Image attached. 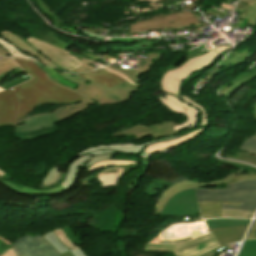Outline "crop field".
Here are the masks:
<instances>
[{
  "mask_svg": "<svg viewBox=\"0 0 256 256\" xmlns=\"http://www.w3.org/2000/svg\"><path fill=\"white\" fill-rule=\"evenodd\" d=\"M20 67L32 76V81L14 87L19 101L20 110L17 119L27 115L37 104L42 103H72L82 96L64 89L50 80L33 62L14 59Z\"/></svg>",
  "mask_w": 256,
  "mask_h": 256,
  "instance_id": "obj_1",
  "label": "crop field"
},
{
  "mask_svg": "<svg viewBox=\"0 0 256 256\" xmlns=\"http://www.w3.org/2000/svg\"><path fill=\"white\" fill-rule=\"evenodd\" d=\"M59 76L79 85L75 90L69 89L51 79L48 74L47 78L54 83L63 86L73 92H76L86 98H88L93 104L98 103L100 106L105 104H114L126 101L129 96L137 89L127 82L119 84L115 87L106 89L100 85H97L91 81L81 79L75 75H68L65 73H58Z\"/></svg>",
  "mask_w": 256,
  "mask_h": 256,
  "instance_id": "obj_2",
  "label": "crop field"
},
{
  "mask_svg": "<svg viewBox=\"0 0 256 256\" xmlns=\"http://www.w3.org/2000/svg\"><path fill=\"white\" fill-rule=\"evenodd\" d=\"M219 56L218 53L212 50L208 54L187 59L177 67L167 70L161 79V90L165 93H171L180 99L179 87L182 80L186 79V77L195 70L206 67Z\"/></svg>",
  "mask_w": 256,
  "mask_h": 256,
  "instance_id": "obj_3",
  "label": "crop field"
},
{
  "mask_svg": "<svg viewBox=\"0 0 256 256\" xmlns=\"http://www.w3.org/2000/svg\"><path fill=\"white\" fill-rule=\"evenodd\" d=\"M31 46L38 50L42 55L52 61L54 64L61 67L63 70L76 73V72H88L95 70L89 66L92 61L82 55H71L66 51H62L54 46L43 43L32 37L25 38Z\"/></svg>",
  "mask_w": 256,
  "mask_h": 256,
  "instance_id": "obj_4",
  "label": "crop field"
},
{
  "mask_svg": "<svg viewBox=\"0 0 256 256\" xmlns=\"http://www.w3.org/2000/svg\"><path fill=\"white\" fill-rule=\"evenodd\" d=\"M224 190L196 189L197 201L227 200L244 202L245 199L256 200V181L243 180L227 186ZM220 191V192H218Z\"/></svg>",
  "mask_w": 256,
  "mask_h": 256,
  "instance_id": "obj_5",
  "label": "crop field"
},
{
  "mask_svg": "<svg viewBox=\"0 0 256 256\" xmlns=\"http://www.w3.org/2000/svg\"><path fill=\"white\" fill-rule=\"evenodd\" d=\"M82 103L79 105H68L58 108L56 111L40 115V116H30L20 121H16L15 131H30L38 128H42L48 125L65 120L66 118L72 116L77 112H81L87 109L88 104H92L88 99L83 98L80 100Z\"/></svg>",
  "mask_w": 256,
  "mask_h": 256,
  "instance_id": "obj_6",
  "label": "crop field"
},
{
  "mask_svg": "<svg viewBox=\"0 0 256 256\" xmlns=\"http://www.w3.org/2000/svg\"><path fill=\"white\" fill-rule=\"evenodd\" d=\"M218 247L212 234L192 239L176 245H150L147 244L144 250L148 251H169L176 256H198L204 252ZM173 254V255H174Z\"/></svg>",
  "mask_w": 256,
  "mask_h": 256,
  "instance_id": "obj_7",
  "label": "crop field"
},
{
  "mask_svg": "<svg viewBox=\"0 0 256 256\" xmlns=\"http://www.w3.org/2000/svg\"><path fill=\"white\" fill-rule=\"evenodd\" d=\"M199 213L194 189L181 191L170 198L164 207L165 215H189Z\"/></svg>",
  "mask_w": 256,
  "mask_h": 256,
  "instance_id": "obj_8",
  "label": "crop field"
},
{
  "mask_svg": "<svg viewBox=\"0 0 256 256\" xmlns=\"http://www.w3.org/2000/svg\"><path fill=\"white\" fill-rule=\"evenodd\" d=\"M12 246L18 256H60L40 236L25 235Z\"/></svg>",
  "mask_w": 256,
  "mask_h": 256,
  "instance_id": "obj_9",
  "label": "crop field"
},
{
  "mask_svg": "<svg viewBox=\"0 0 256 256\" xmlns=\"http://www.w3.org/2000/svg\"><path fill=\"white\" fill-rule=\"evenodd\" d=\"M176 125L165 122L153 126L146 127L142 124L135 125L129 129L122 130L121 132L114 133L110 137L135 135V138L151 135L154 139L175 134L176 132L172 127Z\"/></svg>",
  "mask_w": 256,
  "mask_h": 256,
  "instance_id": "obj_10",
  "label": "crop field"
},
{
  "mask_svg": "<svg viewBox=\"0 0 256 256\" xmlns=\"http://www.w3.org/2000/svg\"><path fill=\"white\" fill-rule=\"evenodd\" d=\"M142 162H143L144 173H145L147 171L148 167H149V161H141V162H139L135 165H132V166L111 167V168H107L106 170L102 171L98 175V180L100 182L101 188H106V187L116 185L121 176L126 174L130 169L137 168L138 164H140ZM143 174L136 177L132 187L135 188L138 180L141 178V176Z\"/></svg>",
  "mask_w": 256,
  "mask_h": 256,
  "instance_id": "obj_11",
  "label": "crop field"
},
{
  "mask_svg": "<svg viewBox=\"0 0 256 256\" xmlns=\"http://www.w3.org/2000/svg\"><path fill=\"white\" fill-rule=\"evenodd\" d=\"M178 15H179V19H176V20H173V18L170 19V21L173 20L176 22V23H172V24L158 26L157 21H154V22L147 21L144 23L135 24L133 26H130L131 33L140 32V31H150V30H156V29H162V28H168V27H174V29L176 30L181 27L200 23L196 20V18L190 12H187V11L178 12ZM167 20H169V19H167Z\"/></svg>",
  "mask_w": 256,
  "mask_h": 256,
  "instance_id": "obj_12",
  "label": "crop field"
},
{
  "mask_svg": "<svg viewBox=\"0 0 256 256\" xmlns=\"http://www.w3.org/2000/svg\"><path fill=\"white\" fill-rule=\"evenodd\" d=\"M17 110L18 100L14 92L11 89L0 92V126L14 125Z\"/></svg>",
  "mask_w": 256,
  "mask_h": 256,
  "instance_id": "obj_13",
  "label": "crop field"
},
{
  "mask_svg": "<svg viewBox=\"0 0 256 256\" xmlns=\"http://www.w3.org/2000/svg\"><path fill=\"white\" fill-rule=\"evenodd\" d=\"M178 136V135H177ZM174 136V137H177ZM174 137L165 138L161 140H168ZM160 141V140H157ZM155 142V141H154ZM152 143V142H150ZM150 143H142V144H116V145H102V146H95L88 148L86 150H83L79 152L77 155H94V154H102V153H109V152H128V153H138L139 155H146L143 148L144 146L150 144Z\"/></svg>",
  "mask_w": 256,
  "mask_h": 256,
  "instance_id": "obj_14",
  "label": "crop field"
},
{
  "mask_svg": "<svg viewBox=\"0 0 256 256\" xmlns=\"http://www.w3.org/2000/svg\"><path fill=\"white\" fill-rule=\"evenodd\" d=\"M112 154H106V155H99V156H93V157H79L76 159V161L72 162L69 166L68 173L64 181L62 182V186L66 189H69V187L73 184L75 175L78 172V166H81L84 170L89 168L94 163L100 161V160H107L110 159Z\"/></svg>",
  "mask_w": 256,
  "mask_h": 256,
  "instance_id": "obj_15",
  "label": "crop field"
},
{
  "mask_svg": "<svg viewBox=\"0 0 256 256\" xmlns=\"http://www.w3.org/2000/svg\"><path fill=\"white\" fill-rule=\"evenodd\" d=\"M0 35L2 36L3 39H5L9 43H11L13 46L18 48L22 52L31 54V55L35 56L36 58H38L41 61V63L61 69V68L57 67L56 65H54L53 63H51L49 60H47L38 51H36L33 47H31L27 42L19 39L18 37H16L14 34L9 32L8 30L4 31V32H0Z\"/></svg>",
  "mask_w": 256,
  "mask_h": 256,
  "instance_id": "obj_16",
  "label": "crop field"
},
{
  "mask_svg": "<svg viewBox=\"0 0 256 256\" xmlns=\"http://www.w3.org/2000/svg\"><path fill=\"white\" fill-rule=\"evenodd\" d=\"M248 226L230 227L211 230L216 240L222 245L240 241Z\"/></svg>",
  "mask_w": 256,
  "mask_h": 256,
  "instance_id": "obj_17",
  "label": "crop field"
},
{
  "mask_svg": "<svg viewBox=\"0 0 256 256\" xmlns=\"http://www.w3.org/2000/svg\"><path fill=\"white\" fill-rule=\"evenodd\" d=\"M77 75L82 78L92 80L106 88H109V87H112L119 83L124 82V80L120 79L119 77H117L103 69H100V70H98L96 72H92V73L77 74Z\"/></svg>",
  "mask_w": 256,
  "mask_h": 256,
  "instance_id": "obj_18",
  "label": "crop field"
},
{
  "mask_svg": "<svg viewBox=\"0 0 256 256\" xmlns=\"http://www.w3.org/2000/svg\"><path fill=\"white\" fill-rule=\"evenodd\" d=\"M196 182L193 181H183L178 184H174L171 187H169L161 196L160 200L158 201L156 205L155 215L161 214V211L163 207L165 206L166 202L169 200V198L174 195L175 193L189 188H194L196 186Z\"/></svg>",
  "mask_w": 256,
  "mask_h": 256,
  "instance_id": "obj_19",
  "label": "crop field"
},
{
  "mask_svg": "<svg viewBox=\"0 0 256 256\" xmlns=\"http://www.w3.org/2000/svg\"><path fill=\"white\" fill-rule=\"evenodd\" d=\"M252 52L249 51L248 49H246L245 51H243L242 53L238 52H234V53H230L223 61L221 64V67L218 71V73L216 74L219 75L220 73L227 71L241 63H243L244 61H246L249 57H251Z\"/></svg>",
  "mask_w": 256,
  "mask_h": 256,
  "instance_id": "obj_20",
  "label": "crop field"
},
{
  "mask_svg": "<svg viewBox=\"0 0 256 256\" xmlns=\"http://www.w3.org/2000/svg\"><path fill=\"white\" fill-rule=\"evenodd\" d=\"M223 204L240 205L234 202H201L198 203L201 216L204 219L221 217V209Z\"/></svg>",
  "mask_w": 256,
  "mask_h": 256,
  "instance_id": "obj_21",
  "label": "crop field"
},
{
  "mask_svg": "<svg viewBox=\"0 0 256 256\" xmlns=\"http://www.w3.org/2000/svg\"><path fill=\"white\" fill-rule=\"evenodd\" d=\"M205 129L206 128L195 130V131H193L189 134H186V135H184V136H182L178 139H174L172 141H167V142H162V143H155V144L149 145V146L145 147L144 150L147 153V155L158 152V151H161L163 149H166V148L171 147L173 145H176L178 143L189 140V139L193 138L194 136L198 135L199 133H201Z\"/></svg>",
  "mask_w": 256,
  "mask_h": 256,
  "instance_id": "obj_22",
  "label": "crop field"
},
{
  "mask_svg": "<svg viewBox=\"0 0 256 256\" xmlns=\"http://www.w3.org/2000/svg\"><path fill=\"white\" fill-rule=\"evenodd\" d=\"M57 131H59V130L56 127V125H52V126L45 127V128L38 129V130H34V131H31V132H15V137L25 141V140H31V139H34V138L42 137L46 134L54 133V132H57Z\"/></svg>",
  "mask_w": 256,
  "mask_h": 256,
  "instance_id": "obj_23",
  "label": "crop field"
},
{
  "mask_svg": "<svg viewBox=\"0 0 256 256\" xmlns=\"http://www.w3.org/2000/svg\"><path fill=\"white\" fill-rule=\"evenodd\" d=\"M161 54L162 53L148 54L151 57V59L146 60L145 62H139L137 70H133L131 68L124 69L128 70L133 75L135 80L138 81L137 76L141 75V73H145L148 70H150L154 63L159 60Z\"/></svg>",
  "mask_w": 256,
  "mask_h": 256,
  "instance_id": "obj_24",
  "label": "crop field"
},
{
  "mask_svg": "<svg viewBox=\"0 0 256 256\" xmlns=\"http://www.w3.org/2000/svg\"><path fill=\"white\" fill-rule=\"evenodd\" d=\"M251 220V219H250ZM250 220H239V219H210L206 220L209 229L248 225Z\"/></svg>",
  "mask_w": 256,
  "mask_h": 256,
  "instance_id": "obj_25",
  "label": "crop field"
},
{
  "mask_svg": "<svg viewBox=\"0 0 256 256\" xmlns=\"http://www.w3.org/2000/svg\"><path fill=\"white\" fill-rule=\"evenodd\" d=\"M157 98L166 108H168L172 112H177L186 115V112L182 105L180 104L179 100L176 99L174 96L170 94H165L164 96Z\"/></svg>",
  "mask_w": 256,
  "mask_h": 256,
  "instance_id": "obj_26",
  "label": "crop field"
},
{
  "mask_svg": "<svg viewBox=\"0 0 256 256\" xmlns=\"http://www.w3.org/2000/svg\"><path fill=\"white\" fill-rule=\"evenodd\" d=\"M181 103L183 104V106L185 107V109L188 112V120L186 123L179 125L177 127H174L175 131H179L185 127L189 128L191 126H193L194 124H196V122L198 121L197 119V115L199 113V110L188 105L187 103L181 101Z\"/></svg>",
  "mask_w": 256,
  "mask_h": 256,
  "instance_id": "obj_27",
  "label": "crop field"
},
{
  "mask_svg": "<svg viewBox=\"0 0 256 256\" xmlns=\"http://www.w3.org/2000/svg\"><path fill=\"white\" fill-rule=\"evenodd\" d=\"M255 75H256V73L250 75L249 77H247L239 82L236 81L235 79H233L227 85H225L223 88L220 89L219 95H225L226 97L231 98L230 97L231 93H233L239 87H242L244 83H246L248 80H250Z\"/></svg>",
  "mask_w": 256,
  "mask_h": 256,
  "instance_id": "obj_28",
  "label": "crop field"
},
{
  "mask_svg": "<svg viewBox=\"0 0 256 256\" xmlns=\"http://www.w3.org/2000/svg\"><path fill=\"white\" fill-rule=\"evenodd\" d=\"M0 45L6 49L12 56L18 57V58H26V59H30V60H35L38 61L36 58L28 55V54H24L22 52H20L18 49H16L15 47H13L12 45H10L8 42H6L5 40H3L2 38H0Z\"/></svg>",
  "mask_w": 256,
  "mask_h": 256,
  "instance_id": "obj_29",
  "label": "crop field"
},
{
  "mask_svg": "<svg viewBox=\"0 0 256 256\" xmlns=\"http://www.w3.org/2000/svg\"><path fill=\"white\" fill-rule=\"evenodd\" d=\"M3 184H5L6 186L10 187L11 189H13L14 191L16 192H19V193H22V194H26V195H34V196H37V197H41L45 194H51L50 190H33V189H30V188H22V189H18L14 186H12L10 183L8 182H4V181H1Z\"/></svg>",
  "mask_w": 256,
  "mask_h": 256,
  "instance_id": "obj_30",
  "label": "crop field"
},
{
  "mask_svg": "<svg viewBox=\"0 0 256 256\" xmlns=\"http://www.w3.org/2000/svg\"><path fill=\"white\" fill-rule=\"evenodd\" d=\"M223 209L256 212V201L245 200L241 206L224 205Z\"/></svg>",
  "mask_w": 256,
  "mask_h": 256,
  "instance_id": "obj_31",
  "label": "crop field"
},
{
  "mask_svg": "<svg viewBox=\"0 0 256 256\" xmlns=\"http://www.w3.org/2000/svg\"><path fill=\"white\" fill-rule=\"evenodd\" d=\"M134 163H136V162L119 161V160H107V161H101V162H98V163L94 164L93 166H91L86 171L92 172L95 169H99V168H103V167H107V166H111V165H123V164H134Z\"/></svg>",
  "mask_w": 256,
  "mask_h": 256,
  "instance_id": "obj_32",
  "label": "crop field"
},
{
  "mask_svg": "<svg viewBox=\"0 0 256 256\" xmlns=\"http://www.w3.org/2000/svg\"><path fill=\"white\" fill-rule=\"evenodd\" d=\"M238 256H256V240L245 241Z\"/></svg>",
  "mask_w": 256,
  "mask_h": 256,
  "instance_id": "obj_33",
  "label": "crop field"
},
{
  "mask_svg": "<svg viewBox=\"0 0 256 256\" xmlns=\"http://www.w3.org/2000/svg\"><path fill=\"white\" fill-rule=\"evenodd\" d=\"M252 10H256V0L254 2L253 5H250V4H246L244 2H240L238 7H237V10L236 11H240L242 12V15L240 18H245V19H249V15L251 13Z\"/></svg>",
  "mask_w": 256,
  "mask_h": 256,
  "instance_id": "obj_34",
  "label": "crop field"
},
{
  "mask_svg": "<svg viewBox=\"0 0 256 256\" xmlns=\"http://www.w3.org/2000/svg\"><path fill=\"white\" fill-rule=\"evenodd\" d=\"M253 212H240V211H230L222 210V217H233V218H252Z\"/></svg>",
  "mask_w": 256,
  "mask_h": 256,
  "instance_id": "obj_35",
  "label": "crop field"
},
{
  "mask_svg": "<svg viewBox=\"0 0 256 256\" xmlns=\"http://www.w3.org/2000/svg\"><path fill=\"white\" fill-rule=\"evenodd\" d=\"M18 67L11 58L0 59V75Z\"/></svg>",
  "mask_w": 256,
  "mask_h": 256,
  "instance_id": "obj_36",
  "label": "crop field"
},
{
  "mask_svg": "<svg viewBox=\"0 0 256 256\" xmlns=\"http://www.w3.org/2000/svg\"><path fill=\"white\" fill-rule=\"evenodd\" d=\"M60 174H61V172H58L57 168L54 167L53 169H51L49 171V173L44 178L41 185H49V184L55 183L58 180V178L60 177Z\"/></svg>",
  "mask_w": 256,
  "mask_h": 256,
  "instance_id": "obj_37",
  "label": "crop field"
},
{
  "mask_svg": "<svg viewBox=\"0 0 256 256\" xmlns=\"http://www.w3.org/2000/svg\"><path fill=\"white\" fill-rule=\"evenodd\" d=\"M243 173H249L246 170L243 169H238V171L234 172L232 175H230L229 177L223 179L222 181H218V182H214V183H209V184H204V183H198L197 187H208V186H213V185H218V184H223L226 183L230 180H232L234 177L243 174Z\"/></svg>",
  "mask_w": 256,
  "mask_h": 256,
  "instance_id": "obj_38",
  "label": "crop field"
},
{
  "mask_svg": "<svg viewBox=\"0 0 256 256\" xmlns=\"http://www.w3.org/2000/svg\"><path fill=\"white\" fill-rule=\"evenodd\" d=\"M48 35H49V37L52 39V40H50V39H48L47 41L48 42H46V43H49V44H51V45H54V46H56V47H59V48H61V49H63V50H67L71 45H69V44H67V43H64V42H61V41H59V40H57V38H59L56 34H54L53 32H49V33H47ZM52 36H54V38L52 37ZM43 40V39H42ZM41 40V41H42Z\"/></svg>",
  "mask_w": 256,
  "mask_h": 256,
  "instance_id": "obj_39",
  "label": "crop field"
},
{
  "mask_svg": "<svg viewBox=\"0 0 256 256\" xmlns=\"http://www.w3.org/2000/svg\"><path fill=\"white\" fill-rule=\"evenodd\" d=\"M241 149L256 155V138L252 137L250 139H246L241 146Z\"/></svg>",
  "mask_w": 256,
  "mask_h": 256,
  "instance_id": "obj_40",
  "label": "crop field"
},
{
  "mask_svg": "<svg viewBox=\"0 0 256 256\" xmlns=\"http://www.w3.org/2000/svg\"><path fill=\"white\" fill-rule=\"evenodd\" d=\"M57 238L60 240L61 243L64 244V246L68 247L69 249H77L76 246H74L64 235L63 231L61 229H57L54 231Z\"/></svg>",
  "mask_w": 256,
  "mask_h": 256,
  "instance_id": "obj_41",
  "label": "crop field"
},
{
  "mask_svg": "<svg viewBox=\"0 0 256 256\" xmlns=\"http://www.w3.org/2000/svg\"><path fill=\"white\" fill-rule=\"evenodd\" d=\"M215 158V157H214ZM216 159V158H215ZM218 162L220 163H223V164H227V165H231V166H235V167H238V168H244V169H247L251 172H254L256 173V169L251 167V166H247V165H243V164H239V163H235V162H231V161H224V160H219L217 159Z\"/></svg>",
  "mask_w": 256,
  "mask_h": 256,
  "instance_id": "obj_42",
  "label": "crop field"
},
{
  "mask_svg": "<svg viewBox=\"0 0 256 256\" xmlns=\"http://www.w3.org/2000/svg\"><path fill=\"white\" fill-rule=\"evenodd\" d=\"M229 47L227 46H219L217 47L216 49H214L216 52H218L220 55L222 52H224L226 49H228ZM209 51H206V49H203V50H200V51H197L191 55L188 56V58H192V57H195V56H199V55H202V54H205Z\"/></svg>",
  "mask_w": 256,
  "mask_h": 256,
  "instance_id": "obj_43",
  "label": "crop field"
},
{
  "mask_svg": "<svg viewBox=\"0 0 256 256\" xmlns=\"http://www.w3.org/2000/svg\"><path fill=\"white\" fill-rule=\"evenodd\" d=\"M29 79H30V77L28 75H26V76H24L22 78H19V79L15 80V81H12V82H10L8 84H5V85L1 86V88L6 90V89L11 88L13 86H16L18 84H21V83H23V82H25V81H27Z\"/></svg>",
  "mask_w": 256,
  "mask_h": 256,
  "instance_id": "obj_44",
  "label": "crop field"
},
{
  "mask_svg": "<svg viewBox=\"0 0 256 256\" xmlns=\"http://www.w3.org/2000/svg\"><path fill=\"white\" fill-rule=\"evenodd\" d=\"M254 239H256V219H254L244 240H254Z\"/></svg>",
  "mask_w": 256,
  "mask_h": 256,
  "instance_id": "obj_45",
  "label": "crop field"
},
{
  "mask_svg": "<svg viewBox=\"0 0 256 256\" xmlns=\"http://www.w3.org/2000/svg\"><path fill=\"white\" fill-rule=\"evenodd\" d=\"M243 179H256V174H254V173H249V174L240 175V176L234 178L232 181H230V182L227 183L226 185L231 184V183H234V182H237V181H239V180H243Z\"/></svg>",
  "mask_w": 256,
  "mask_h": 256,
  "instance_id": "obj_46",
  "label": "crop field"
},
{
  "mask_svg": "<svg viewBox=\"0 0 256 256\" xmlns=\"http://www.w3.org/2000/svg\"><path fill=\"white\" fill-rule=\"evenodd\" d=\"M182 100L185 101V102H187V103H189L190 105H192V106L198 108L199 110H201V111H202V121H203V124H202V125L206 124L207 118H206L205 111H204L201 107H199L198 105L194 104L191 100H189L188 98H186V97H184V96L182 97Z\"/></svg>",
  "mask_w": 256,
  "mask_h": 256,
  "instance_id": "obj_47",
  "label": "crop field"
},
{
  "mask_svg": "<svg viewBox=\"0 0 256 256\" xmlns=\"http://www.w3.org/2000/svg\"><path fill=\"white\" fill-rule=\"evenodd\" d=\"M103 69H105V70H107L109 72H112V73L118 75L119 77H121L122 79H124L125 81H127L128 83H130V84H132V85H134L136 87H139L136 84H134L132 81H130L124 74H122L120 72H117V71H115V70H113L111 68H108V67H104Z\"/></svg>",
  "mask_w": 256,
  "mask_h": 256,
  "instance_id": "obj_48",
  "label": "crop field"
},
{
  "mask_svg": "<svg viewBox=\"0 0 256 256\" xmlns=\"http://www.w3.org/2000/svg\"><path fill=\"white\" fill-rule=\"evenodd\" d=\"M42 3H43V2H42ZM42 3H41L40 0H37V5L40 7V9H41L43 12L54 16L57 21H59L60 23H62V22H61L50 10H48Z\"/></svg>",
  "mask_w": 256,
  "mask_h": 256,
  "instance_id": "obj_49",
  "label": "crop field"
},
{
  "mask_svg": "<svg viewBox=\"0 0 256 256\" xmlns=\"http://www.w3.org/2000/svg\"><path fill=\"white\" fill-rule=\"evenodd\" d=\"M238 155L239 157L243 158V159H247L253 163L256 164V156H252V155H249V154H246V153H240V154H236Z\"/></svg>",
  "mask_w": 256,
  "mask_h": 256,
  "instance_id": "obj_50",
  "label": "crop field"
},
{
  "mask_svg": "<svg viewBox=\"0 0 256 256\" xmlns=\"http://www.w3.org/2000/svg\"><path fill=\"white\" fill-rule=\"evenodd\" d=\"M108 67H111V68H114V69H116V70H118V71H120V72H123L130 80H132L133 82H135L136 84H138V83L134 80V78L132 77V75H131L129 72H127V71H125V70H123V69H121V68L112 66V65H109ZM138 85H139V84H138ZM139 86H140V85H139Z\"/></svg>",
  "mask_w": 256,
  "mask_h": 256,
  "instance_id": "obj_51",
  "label": "crop field"
},
{
  "mask_svg": "<svg viewBox=\"0 0 256 256\" xmlns=\"http://www.w3.org/2000/svg\"><path fill=\"white\" fill-rule=\"evenodd\" d=\"M248 25L256 26V11L252 12Z\"/></svg>",
  "mask_w": 256,
  "mask_h": 256,
  "instance_id": "obj_52",
  "label": "crop field"
},
{
  "mask_svg": "<svg viewBox=\"0 0 256 256\" xmlns=\"http://www.w3.org/2000/svg\"><path fill=\"white\" fill-rule=\"evenodd\" d=\"M66 189L65 188H63L62 186H58V187H56V188H52L51 189V191H52V193H57V192H62V191H65Z\"/></svg>",
  "mask_w": 256,
  "mask_h": 256,
  "instance_id": "obj_53",
  "label": "crop field"
},
{
  "mask_svg": "<svg viewBox=\"0 0 256 256\" xmlns=\"http://www.w3.org/2000/svg\"><path fill=\"white\" fill-rule=\"evenodd\" d=\"M1 256H16V255L14 254V252L11 248V249L6 250Z\"/></svg>",
  "mask_w": 256,
  "mask_h": 256,
  "instance_id": "obj_54",
  "label": "crop field"
},
{
  "mask_svg": "<svg viewBox=\"0 0 256 256\" xmlns=\"http://www.w3.org/2000/svg\"><path fill=\"white\" fill-rule=\"evenodd\" d=\"M54 23L56 24V26H58V27H60V28H62V29H64V30H67V31H69V32L76 33V34L79 35V33H77V32L74 31V30L68 29V28H66V27H64V26L61 27V26L59 25V22H57V21H55Z\"/></svg>",
  "mask_w": 256,
  "mask_h": 256,
  "instance_id": "obj_55",
  "label": "crop field"
},
{
  "mask_svg": "<svg viewBox=\"0 0 256 256\" xmlns=\"http://www.w3.org/2000/svg\"><path fill=\"white\" fill-rule=\"evenodd\" d=\"M254 72H256V68H254V70H253L251 73H245V74H243V75H241V76H239V77H237V78H235V79H237V80L239 81V80H241V79H243V78L249 76L250 74H252V73H254Z\"/></svg>",
  "mask_w": 256,
  "mask_h": 256,
  "instance_id": "obj_56",
  "label": "crop field"
},
{
  "mask_svg": "<svg viewBox=\"0 0 256 256\" xmlns=\"http://www.w3.org/2000/svg\"><path fill=\"white\" fill-rule=\"evenodd\" d=\"M226 158L233 159V160H238V161H245L247 163L253 164V163H251V162H249L247 160L240 159L239 157L227 156ZM253 165H255V164H253Z\"/></svg>",
  "mask_w": 256,
  "mask_h": 256,
  "instance_id": "obj_57",
  "label": "crop field"
},
{
  "mask_svg": "<svg viewBox=\"0 0 256 256\" xmlns=\"http://www.w3.org/2000/svg\"><path fill=\"white\" fill-rule=\"evenodd\" d=\"M65 176H66V173H63V176H62V178H61V180L57 183V184H55V185H53V186H50V187H44V188H41V189H50V188H52V187H55V186H57L58 184H61V182H62V180L65 178Z\"/></svg>",
  "mask_w": 256,
  "mask_h": 256,
  "instance_id": "obj_58",
  "label": "crop field"
},
{
  "mask_svg": "<svg viewBox=\"0 0 256 256\" xmlns=\"http://www.w3.org/2000/svg\"><path fill=\"white\" fill-rule=\"evenodd\" d=\"M223 248H225V247L219 248V249H217V250H215V251H212V252H210V253H208V254H205V255H203V256H214L215 253L219 252V251L222 250Z\"/></svg>",
  "mask_w": 256,
  "mask_h": 256,
  "instance_id": "obj_59",
  "label": "crop field"
},
{
  "mask_svg": "<svg viewBox=\"0 0 256 256\" xmlns=\"http://www.w3.org/2000/svg\"><path fill=\"white\" fill-rule=\"evenodd\" d=\"M82 33L85 34V35L93 36L95 38L103 39V37H100V36H97V35H93V34H90V33L84 32V31H82Z\"/></svg>",
  "mask_w": 256,
  "mask_h": 256,
  "instance_id": "obj_60",
  "label": "crop field"
},
{
  "mask_svg": "<svg viewBox=\"0 0 256 256\" xmlns=\"http://www.w3.org/2000/svg\"><path fill=\"white\" fill-rule=\"evenodd\" d=\"M111 41H130V42H131V39H130V38H123V39H111Z\"/></svg>",
  "mask_w": 256,
  "mask_h": 256,
  "instance_id": "obj_61",
  "label": "crop field"
},
{
  "mask_svg": "<svg viewBox=\"0 0 256 256\" xmlns=\"http://www.w3.org/2000/svg\"><path fill=\"white\" fill-rule=\"evenodd\" d=\"M133 1H136V2H157V1H160V0H133Z\"/></svg>",
  "mask_w": 256,
  "mask_h": 256,
  "instance_id": "obj_62",
  "label": "crop field"
},
{
  "mask_svg": "<svg viewBox=\"0 0 256 256\" xmlns=\"http://www.w3.org/2000/svg\"><path fill=\"white\" fill-rule=\"evenodd\" d=\"M61 256H73V254L70 251L60 253Z\"/></svg>",
  "mask_w": 256,
  "mask_h": 256,
  "instance_id": "obj_63",
  "label": "crop field"
},
{
  "mask_svg": "<svg viewBox=\"0 0 256 256\" xmlns=\"http://www.w3.org/2000/svg\"><path fill=\"white\" fill-rule=\"evenodd\" d=\"M251 108H252L253 113H254V116H255V118H256V104H255L253 107H251Z\"/></svg>",
  "mask_w": 256,
  "mask_h": 256,
  "instance_id": "obj_64",
  "label": "crop field"
},
{
  "mask_svg": "<svg viewBox=\"0 0 256 256\" xmlns=\"http://www.w3.org/2000/svg\"><path fill=\"white\" fill-rule=\"evenodd\" d=\"M5 52L3 50L0 49V56H5Z\"/></svg>",
  "mask_w": 256,
  "mask_h": 256,
  "instance_id": "obj_65",
  "label": "crop field"
},
{
  "mask_svg": "<svg viewBox=\"0 0 256 256\" xmlns=\"http://www.w3.org/2000/svg\"><path fill=\"white\" fill-rule=\"evenodd\" d=\"M242 1L252 4L254 0H242Z\"/></svg>",
  "mask_w": 256,
  "mask_h": 256,
  "instance_id": "obj_66",
  "label": "crop field"
},
{
  "mask_svg": "<svg viewBox=\"0 0 256 256\" xmlns=\"http://www.w3.org/2000/svg\"><path fill=\"white\" fill-rule=\"evenodd\" d=\"M3 173H4V172L0 169V176H2Z\"/></svg>",
  "mask_w": 256,
  "mask_h": 256,
  "instance_id": "obj_67",
  "label": "crop field"
},
{
  "mask_svg": "<svg viewBox=\"0 0 256 256\" xmlns=\"http://www.w3.org/2000/svg\"><path fill=\"white\" fill-rule=\"evenodd\" d=\"M0 91H2V89L0 88Z\"/></svg>",
  "mask_w": 256,
  "mask_h": 256,
  "instance_id": "obj_68",
  "label": "crop field"
}]
</instances>
